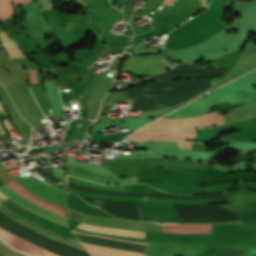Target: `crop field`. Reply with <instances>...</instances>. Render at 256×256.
<instances>
[{
    "label": "crop field",
    "mask_w": 256,
    "mask_h": 256,
    "mask_svg": "<svg viewBox=\"0 0 256 256\" xmlns=\"http://www.w3.org/2000/svg\"><path fill=\"white\" fill-rule=\"evenodd\" d=\"M0 211L4 214L10 216L11 218L15 219L19 223L33 229L34 231L52 239V240L69 245L74 248H79V249L84 250V248L81 246V244L79 242L71 240V239L63 237V236L56 235L52 232H49V231L35 225L34 223L26 220L25 218L17 215L16 213L12 212L11 210H9L7 207H5L1 203H0ZM0 238L2 240H4L6 243H8L9 245H11L29 255H32V256H58V255L53 254L49 251H46L32 243H29L2 228H0Z\"/></svg>",
    "instance_id": "8a807250"
},
{
    "label": "crop field",
    "mask_w": 256,
    "mask_h": 256,
    "mask_svg": "<svg viewBox=\"0 0 256 256\" xmlns=\"http://www.w3.org/2000/svg\"><path fill=\"white\" fill-rule=\"evenodd\" d=\"M223 115L211 112L196 118H169L159 119L140 130L148 129H183V128H209L223 124Z\"/></svg>",
    "instance_id": "ac0d7876"
},
{
    "label": "crop field",
    "mask_w": 256,
    "mask_h": 256,
    "mask_svg": "<svg viewBox=\"0 0 256 256\" xmlns=\"http://www.w3.org/2000/svg\"><path fill=\"white\" fill-rule=\"evenodd\" d=\"M172 66L162 55L132 56L125 60L121 70L146 76L164 72Z\"/></svg>",
    "instance_id": "34b2d1b8"
},
{
    "label": "crop field",
    "mask_w": 256,
    "mask_h": 256,
    "mask_svg": "<svg viewBox=\"0 0 256 256\" xmlns=\"http://www.w3.org/2000/svg\"><path fill=\"white\" fill-rule=\"evenodd\" d=\"M14 179L34 194L53 203L66 206V192L53 188L35 177H18Z\"/></svg>",
    "instance_id": "412701ff"
},
{
    "label": "crop field",
    "mask_w": 256,
    "mask_h": 256,
    "mask_svg": "<svg viewBox=\"0 0 256 256\" xmlns=\"http://www.w3.org/2000/svg\"><path fill=\"white\" fill-rule=\"evenodd\" d=\"M33 0H12L14 6L22 5L27 12L26 18L32 36L43 37L46 33H53L49 24L43 19L38 3Z\"/></svg>",
    "instance_id": "f4fd0767"
},
{
    "label": "crop field",
    "mask_w": 256,
    "mask_h": 256,
    "mask_svg": "<svg viewBox=\"0 0 256 256\" xmlns=\"http://www.w3.org/2000/svg\"><path fill=\"white\" fill-rule=\"evenodd\" d=\"M126 140H196V130L138 131Z\"/></svg>",
    "instance_id": "dd49c442"
},
{
    "label": "crop field",
    "mask_w": 256,
    "mask_h": 256,
    "mask_svg": "<svg viewBox=\"0 0 256 256\" xmlns=\"http://www.w3.org/2000/svg\"><path fill=\"white\" fill-rule=\"evenodd\" d=\"M237 182H229L223 184L208 185L206 188H199L197 186H184V185H161V184H150L162 191L171 192L175 194L184 195H197L202 193H219L228 191Z\"/></svg>",
    "instance_id": "e52e79f7"
},
{
    "label": "crop field",
    "mask_w": 256,
    "mask_h": 256,
    "mask_svg": "<svg viewBox=\"0 0 256 256\" xmlns=\"http://www.w3.org/2000/svg\"><path fill=\"white\" fill-rule=\"evenodd\" d=\"M11 190L15 191L16 193H18L19 195H21L22 197H24L25 199L45 208L48 209L52 212H55L63 217L66 218V208L56 205V204H52L49 202H46L44 200H41L39 198H37L36 196H34L33 194H31L30 192L26 191L23 187H21L16 181H14L12 178L10 180H8L5 183Z\"/></svg>",
    "instance_id": "d8731c3e"
},
{
    "label": "crop field",
    "mask_w": 256,
    "mask_h": 256,
    "mask_svg": "<svg viewBox=\"0 0 256 256\" xmlns=\"http://www.w3.org/2000/svg\"><path fill=\"white\" fill-rule=\"evenodd\" d=\"M0 191L2 193H4L5 195H7L8 197H10L11 199H13L14 201H16L17 203H19L20 205H22V206H24L28 209H31V210H33V211H35V212H37V213H39V214H41L45 217L57 222V223L67 225V219L28 202L27 200H25L24 198H22L18 194L11 191L4 184L0 185Z\"/></svg>",
    "instance_id": "5a996713"
},
{
    "label": "crop field",
    "mask_w": 256,
    "mask_h": 256,
    "mask_svg": "<svg viewBox=\"0 0 256 256\" xmlns=\"http://www.w3.org/2000/svg\"><path fill=\"white\" fill-rule=\"evenodd\" d=\"M70 172V175L81 177L84 179L96 181L99 183H129V182H136V177H129V178H108L106 176H102L99 174H95L92 172L84 171L77 169L75 167H71V169L68 171Z\"/></svg>",
    "instance_id": "3316defc"
},
{
    "label": "crop field",
    "mask_w": 256,
    "mask_h": 256,
    "mask_svg": "<svg viewBox=\"0 0 256 256\" xmlns=\"http://www.w3.org/2000/svg\"><path fill=\"white\" fill-rule=\"evenodd\" d=\"M163 231L167 233H209L211 224L188 225V224H161Z\"/></svg>",
    "instance_id": "28ad6ade"
},
{
    "label": "crop field",
    "mask_w": 256,
    "mask_h": 256,
    "mask_svg": "<svg viewBox=\"0 0 256 256\" xmlns=\"http://www.w3.org/2000/svg\"><path fill=\"white\" fill-rule=\"evenodd\" d=\"M77 227L92 230V231H97V232H103V233H111V234H119V235L145 238L144 232L120 230V229L105 228V227H97V226H91V225H87V224H83V223H81Z\"/></svg>",
    "instance_id": "d1516ede"
},
{
    "label": "crop field",
    "mask_w": 256,
    "mask_h": 256,
    "mask_svg": "<svg viewBox=\"0 0 256 256\" xmlns=\"http://www.w3.org/2000/svg\"><path fill=\"white\" fill-rule=\"evenodd\" d=\"M68 182L74 183L78 185L88 186L92 188H98V189H104V190H110V191H120V192H126V185H100L96 183H90L86 182L71 176H68Z\"/></svg>",
    "instance_id": "22f410ed"
},
{
    "label": "crop field",
    "mask_w": 256,
    "mask_h": 256,
    "mask_svg": "<svg viewBox=\"0 0 256 256\" xmlns=\"http://www.w3.org/2000/svg\"><path fill=\"white\" fill-rule=\"evenodd\" d=\"M0 40L11 57L26 58L20 48L9 38L5 31L0 32Z\"/></svg>",
    "instance_id": "cbeb9de0"
},
{
    "label": "crop field",
    "mask_w": 256,
    "mask_h": 256,
    "mask_svg": "<svg viewBox=\"0 0 256 256\" xmlns=\"http://www.w3.org/2000/svg\"><path fill=\"white\" fill-rule=\"evenodd\" d=\"M13 6L11 0H0V19L1 21L13 16Z\"/></svg>",
    "instance_id": "5142ce71"
},
{
    "label": "crop field",
    "mask_w": 256,
    "mask_h": 256,
    "mask_svg": "<svg viewBox=\"0 0 256 256\" xmlns=\"http://www.w3.org/2000/svg\"><path fill=\"white\" fill-rule=\"evenodd\" d=\"M30 84H39L37 81V69H28Z\"/></svg>",
    "instance_id": "d9b57169"
},
{
    "label": "crop field",
    "mask_w": 256,
    "mask_h": 256,
    "mask_svg": "<svg viewBox=\"0 0 256 256\" xmlns=\"http://www.w3.org/2000/svg\"><path fill=\"white\" fill-rule=\"evenodd\" d=\"M178 149H188L191 150L190 142H175Z\"/></svg>",
    "instance_id": "733c2abd"
},
{
    "label": "crop field",
    "mask_w": 256,
    "mask_h": 256,
    "mask_svg": "<svg viewBox=\"0 0 256 256\" xmlns=\"http://www.w3.org/2000/svg\"><path fill=\"white\" fill-rule=\"evenodd\" d=\"M174 2H175V0H165L163 5L173 6ZM201 5H202L203 10H204L205 7L207 6L206 0H201Z\"/></svg>",
    "instance_id": "4a817a6b"
},
{
    "label": "crop field",
    "mask_w": 256,
    "mask_h": 256,
    "mask_svg": "<svg viewBox=\"0 0 256 256\" xmlns=\"http://www.w3.org/2000/svg\"><path fill=\"white\" fill-rule=\"evenodd\" d=\"M1 203H3L5 206H7L9 209H11L12 211L18 213L19 215L22 214V212H20L18 209H16L15 207H13L11 204H9L7 201H2Z\"/></svg>",
    "instance_id": "bc2a9ffb"
},
{
    "label": "crop field",
    "mask_w": 256,
    "mask_h": 256,
    "mask_svg": "<svg viewBox=\"0 0 256 256\" xmlns=\"http://www.w3.org/2000/svg\"><path fill=\"white\" fill-rule=\"evenodd\" d=\"M72 232H75V231H72ZM75 233H77V232H75ZM80 234H82V233H80ZM85 235H89V234H85ZM90 236H95V235H90ZM95 237H101V236H95ZM101 238H106V237H101ZM107 239H111V238H107ZM114 240H116V239H114ZM120 241H122V240H120ZM127 242H129V241H127ZM134 243H140V242H134ZM140 244H146V243H140Z\"/></svg>",
    "instance_id": "214f88e0"
},
{
    "label": "crop field",
    "mask_w": 256,
    "mask_h": 256,
    "mask_svg": "<svg viewBox=\"0 0 256 256\" xmlns=\"http://www.w3.org/2000/svg\"><path fill=\"white\" fill-rule=\"evenodd\" d=\"M207 1H208V4H209L210 0H207Z\"/></svg>",
    "instance_id": "92a150f3"
},
{
    "label": "crop field",
    "mask_w": 256,
    "mask_h": 256,
    "mask_svg": "<svg viewBox=\"0 0 256 256\" xmlns=\"http://www.w3.org/2000/svg\"><path fill=\"white\" fill-rule=\"evenodd\" d=\"M254 31H256V26H255V30Z\"/></svg>",
    "instance_id": "dafd665d"
},
{
    "label": "crop field",
    "mask_w": 256,
    "mask_h": 256,
    "mask_svg": "<svg viewBox=\"0 0 256 256\" xmlns=\"http://www.w3.org/2000/svg\"><path fill=\"white\" fill-rule=\"evenodd\" d=\"M1 182V181H0ZM2 183V182H1ZM3 184V183H2Z\"/></svg>",
    "instance_id": "00972430"
},
{
    "label": "crop field",
    "mask_w": 256,
    "mask_h": 256,
    "mask_svg": "<svg viewBox=\"0 0 256 256\" xmlns=\"http://www.w3.org/2000/svg\"><path fill=\"white\" fill-rule=\"evenodd\" d=\"M1 202V201H0Z\"/></svg>",
    "instance_id": "a9b5d70f"
}]
</instances>
